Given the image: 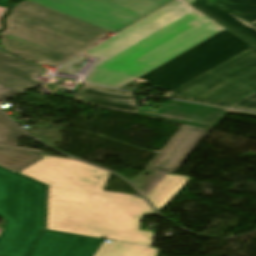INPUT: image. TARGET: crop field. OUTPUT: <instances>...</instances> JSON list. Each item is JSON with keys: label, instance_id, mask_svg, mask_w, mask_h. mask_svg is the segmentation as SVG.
I'll use <instances>...</instances> for the list:
<instances>
[{"label": "crop field", "instance_id": "6", "mask_svg": "<svg viewBox=\"0 0 256 256\" xmlns=\"http://www.w3.org/2000/svg\"><path fill=\"white\" fill-rule=\"evenodd\" d=\"M210 131L182 125L146 169L174 173Z\"/></svg>", "mask_w": 256, "mask_h": 256}, {"label": "crop field", "instance_id": "21", "mask_svg": "<svg viewBox=\"0 0 256 256\" xmlns=\"http://www.w3.org/2000/svg\"><path fill=\"white\" fill-rule=\"evenodd\" d=\"M184 1H186V2H188L190 4H192L194 2V0H184Z\"/></svg>", "mask_w": 256, "mask_h": 256}, {"label": "crop field", "instance_id": "5", "mask_svg": "<svg viewBox=\"0 0 256 256\" xmlns=\"http://www.w3.org/2000/svg\"><path fill=\"white\" fill-rule=\"evenodd\" d=\"M138 111L142 115L210 129H213L228 112L256 117V114L175 100L168 105L160 104L157 111L141 108H138Z\"/></svg>", "mask_w": 256, "mask_h": 256}, {"label": "crop field", "instance_id": "12", "mask_svg": "<svg viewBox=\"0 0 256 256\" xmlns=\"http://www.w3.org/2000/svg\"><path fill=\"white\" fill-rule=\"evenodd\" d=\"M42 159L41 154L0 147V166L18 172Z\"/></svg>", "mask_w": 256, "mask_h": 256}, {"label": "crop field", "instance_id": "11", "mask_svg": "<svg viewBox=\"0 0 256 256\" xmlns=\"http://www.w3.org/2000/svg\"><path fill=\"white\" fill-rule=\"evenodd\" d=\"M160 249L142 245L116 242H102L94 256H157Z\"/></svg>", "mask_w": 256, "mask_h": 256}, {"label": "crop field", "instance_id": "1", "mask_svg": "<svg viewBox=\"0 0 256 256\" xmlns=\"http://www.w3.org/2000/svg\"><path fill=\"white\" fill-rule=\"evenodd\" d=\"M99 58L84 83L118 88L139 77L166 97L228 107L256 92V49L183 0H26L0 33L4 48L57 67Z\"/></svg>", "mask_w": 256, "mask_h": 256}, {"label": "crop field", "instance_id": "18", "mask_svg": "<svg viewBox=\"0 0 256 256\" xmlns=\"http://www.w3.org/2000/svg\"><path fill=\"white\" fill-rule=\"evenodd\" d=\"M10 0H0V20L8 9ZM2 29V24L0 22V30Z\"/></svg>", "mask_w": 256, "mask_h": 256}, {"label": "crop field", "instance_id": "19", "mask_svg": "<svg viewBox=\"0 0 256 256\" xmlns=\"http://www.w3.org/2000/svg\"><path fill=\"white\" fill-rule=\"evenodd\" d=\"M48 87V89L50 90V92H52L51 94L54 95V96H60L61 94L60 93H56V91L60 90L61 87L58 86L57 84L55 83H52V84H48L46 85Z\"/></svg>", "mask_w": 256, "mask_h": 256}, {"label": "crop field", "instance_id": "2", "mask_svg": "<svg viewBox=\"0 0 256 256\" xmlns=\"http://www.w3.org/2000/svg\"><path fill=\"white\" fill-rule=\"evenodd\" d=\"M42 157L18 173L48 185L45 229L150 243L153 233L139 228L145 213H155L142 197L102 191L109 172L100 168L71 159Z\"/></svg>", "mask_w": 256, "mask_h": 256}, {"label": "crop field", "instance_id": "17", "mask_svg": "<svg viewBox=\"0 0 256 256\" xmlns=\"http://www.w3.org/2000/svg\"><path fill=\"white\" fill-rule=\"evenodd\" d=\"M17 92H18V91L13 90V89H11V88H8V87L3 86V85L0 84V99H1V100L5 99V98H7V97H9V96H11V95L17 93ZM3 101H4V100H3Z\"/></svg>", "mask_w": 256, "mask_h": 256}, {"label": "crop field", "instance_id": "9", "mask_svg": "<svg viewBox=\"0 0 256 256\" xmlns=\"http://www.w3.org/2000/svg\"><path fill=\"white\" fill-rule=\"evenodd\" d=\"M74 100L139 114L133 94L130 92L84 85Z\"/></svg>", "mask_w": 256, "mask_h": 256}, {"label": "crop field", "instance_id": "10", "mask_svg": "<svg viewBox=\"0 0 256 256\" xmlns=\"http://www.w3.org/2000/svg\"><path fill=\"white\" fill-rule=\"evenodd\" d=\"M189 179L185 176L167 174L145 197L160 211Z\"/></svg>", "mask_w": 256, "mask_h": 256}, {"label": "crop field", "instance_id": "14", "mask_svg": "<svg viewBox=\"0 0 256 256\" xmlns=\"http://www.w3.org/2000/svg\"><path fill=\"white\" fill-rule=\"evenodd\" d=\"M230 108L248 110L256 112V93L245 98L244 100L230 106Z\"/></svg>", "mask_w": 256, "mask_h": 256}, {"label": "crop field", "instance_id": "3", "mask_svg": "<svg viewBox=\"0 0 256 256\" xmlns=\"http://www.w3.org/2000/svg\"><path fill=\"white\" fill-rule=\"evenodd\" d=\"M46 186L0 167V256H27L44 227Z\"/></svg>", "mask_w": 256, "mask_h": 256}, {"label": "crop field", "instance_id": "7", "mask_svg": "<svg viewBox=\"0 0 256 256\" xmlns=\"http://www.w3.org/2000/svg\"><path fill=\"white\" fill-rule=\"evenodd\" d=\"M102 241L44 230L29 256H93Z\"/></svg>", "mask_w": 256, "mask_h": 256}, {"label": "crop field", "instance_id": "15", "mask_svg": "<svg viewBox=\"0 0 256 256\" xmlns=\"http://www.w3.org/2000/svg\"><path fill=\"white\" fill-rule=\"evenodd\" d=\"M166 174L156 172L139 190L145 196Z\"/></svg>", "mask_w": 256, "mask_h": 256}, {"label": "crop field", "instance_id": "13", "mask_svg": "<svg viewBox=\"0 0 256 256\" xmlns=\"http://www.w3.org/2000/svg\"><path fill=\"white\" fill-rule=\"evenodd\" d=\"M26 135L27 134L24 131L15 126L11 121H9L4 115L0 113V146L43 153L41 150L37 149L16 147L19 145L16 138Z\"/></svg>", "mask_w": 256, "mask_h": 256}, {"label": "crop field", "instance_id": "16", "mask_svg": "<svg viewBox=\"0 0 256 256\" xmlns=\"http://www.w3.org/2000/svg\"><path fill=\"white\" fill-rule=\"evenodd\" d=\"M85 57L80 56L79 58L61 66L60 71L62 73L73 74L77 68L81 65L84 61Z\"/></svg>", "mask_w": 256, "mask_h": 256}, {"label": "crop field", "instance_id": "8", "mask_svg": "<svg viewBox=\"0 0 256 256\" xmlns=\"http://www.w3.org/2000/svg\"><path fill=\"white\" fill-rule=\"evenodd\" d=\"M45 71L40 67L0 52V83L18 91L46 82L35 79Z\"/></svg>", "mask_w": 256, "mask_h": 256}, {"label": "crop field", "instance_id": "22", "mask_svg": "<svg viewBox=\"0 0 256 256\" xmlns=\"http://www.w3.org/2000/svg\"><path fill=\"white\" fill-rule=\"evenodd\" d=\"M2 231V229H0V232Z\"/></svg>", "mask_w": 256, "mask_h": 256}, {"label": "crop field", "instance_id": "20", "mask_svg": "<svg viewBox=\"0 0 256 256\" xmlns=\"http://www.w3.org/2000/svg\"><path fill=\"white\" fill-rule=\"evenodd\" d=\"M133 81L138 82V83H140V84H142L143 82H146V81L141 80V79H139V78H137V79H135V80H133ZM133 81H131V82L125 84L124 86L120 87L119 89L134 91L133 88H128V85H129L130 83H132Z\"/></svg>", "mask_w": 256, "mask_h": 256}, {"label": "crop field", "instance_id": "4", "mask_svg": "<svg viewBox=\"0 0 256 256\" xmlns=\"http://www.w3.org/2000/svg\"><path fill=\"white\" fill-rule=\"evenodd\" d=\"M193 6L256 47V0H197Z\"/></svg>", "mask_w": 256, "mask_h": 256}]
</instances>
